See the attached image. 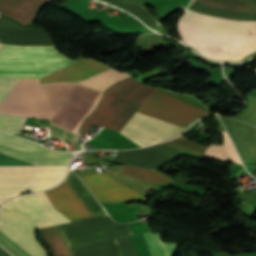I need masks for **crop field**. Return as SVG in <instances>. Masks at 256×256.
Segmentation results:
<instances>
[{
  "instance_id": "1",
  "label": "crop field",
  "mask_w": 256,
  "mask_h": 256,
  "mask_svg": "<svg viewBox=\"0 0 256 256\" xmlns=\"http://www.w3.org/2000/svg\"><path fill=\"white\" fill-rule=\"evenodd\" d=\"M106 66L88 57L40 78L39 83H79ZM112 70L108 66L80 84L87 86ZM128 76L114 70L88 87L104 92L111 84ZM46 85H38V79L0 78V113L24 115ZM98 91L75 83H48L24 116L50 119L51 124L78 135L80 122L99 102L102 93Z\"/></svg>"
},
{
  "instance_id": "2",
  "label": "crop field",
  "mask_w": 256,
  "mask_h": 256,
  "mask_svg": "<svg viewBox=\"0 0 256 256\" xmlns=\"http://www.w3.org/2000/svg\"><path fill=\"white\" fill-rule=\"evenodd\" d=\"M192 11L217 18L256 21L252 0H196ZM189 11L186 20L215 27L253 30L256 22L217 19ZM181 18L177 28L184 42L197 52L222 61H239L256 51V32L215 28Z\"/></svg>"
},
{
  "instance_id": "3",
  "label": "crop field",
  "mask_w": 256,
  "mask_h": 256,
  "mask_svg": "<svg viewBox=\"0 0 256 256\" xmlns=\"http://www.w3.org/2000/svg\"><path fill=\"white\" fill-rule=\"evenodd\" d=\"M62 223L92 217L64 180L57 187L40 192ZM38 193L11 199L0 210V230L33 256H48L38 243L35 230L61 224Z\"/></svg>"
},
{
  "instance_id": "4",
  "label": "crop field",
  "mask_w": 256,
  "mask_h": 256,
  "mask_svg": "<svg viewBox=\"0 0 256 256\" xmlns=\"http://www.w3.org/2000/svg\"><path fill=\"white\" fill-rule=\"evenodd\" d=\"M138 112L185 128L207 112L155 89ZM119 132L139 146H147L171 138L183 128L138 113Z\"/></svg>"
},
{
  "instance_id": "5",
  "label": "crop field",
  "mask_w": 256,
  "mask_h": 256,
  "mask_svg": "<svg viewBox=\"0 0 256 256\" xmlns=\"http://www.w3.org/2000/svg\"><path fill=\"white\" fill-rule=\"evenodd\" d=\"M154 89L130 77L109 87L94 112L80 126V136L92 124L120 131Z\"/></svg>"
},
{
  "instance_id": "6",
  "label": "crop field",
  "mask_w": 256,
  "mask_h": 256,
  "mask_svg": "<svg viewBox=\"0 0 256 256\" xmlns=\"http://www.w3.org/2000/svg\"><path fill=\"white\" fill-rule=\"evenodd\" d=\"M75 62L48 46H0V77L40 78Z\"/></svg>"
},
{
  "instance_id": "7",
  "label": "crop field",
  "mask_w": 256,
  "mask_h": 256,
  "mask_svg": "<svg viewBox=\"0 0 256 256\" xmlns=\"http://www.w3.org/2000/svg\"><path fill=\"white\" fill-rule=\"evenodd\" d=\"M67 165L0 166V203L20 194L56 185L66 174Z\"/></svg>"
},
{
  "instance_id": "8",
  "label": "crop field",
  "mask_w": 256,
  "mask_h": 256,
  "mask_svg": "<svg viewBox=\"0 0 256 256\" xmlns=\"http://www.w3.org/2000/svg\"><path fill=\"white\" fill-rule=\"evenodd\" d=\"M68 247L132 234L127 224L113 222L107 215L57 226Z\"/></svg>"
},
{
  "instance_id": "9",
  "label": "crop field",
  "mask_w": 256,
  "mask_h": 256,
  "mask_svg": "<svg viewBox=\"0 0 256 256\" xmlns=\"http://www.w3.org/2000/svg\"><path fill=\"white\" fill-rule=\"evenodd\" d=\"M0 155L28 165L67 164L73 156V154L49 150L2 132H0Z\"/></svg>"
},
{
  "instance_id": "10",
  "label": "crop field",
  "mask_w": 256,
  "mask_h": 256,
  "mask_svg": "<svg viewBox=\"0 0 256 256\" xmlns=\"http://www.w3.org/2000/svg\"><path fill=\"white\" fill-rule=\"evenodd\" d=\"M80 178L99 202L146 201L141 193L125 186L104 172L81 176Z\"/></svg>"
},
{
  "instance_id": "11",
  "label": "crop field",
  "mask_w": 256,
  "mask_h": 256,
  "mask_svg": "<svg viewBox=\"0 0 256 256\" xmlns=\"http://www.w3.org/2000/svg\"><path fill=\"white\" fill-rule=\"evenodd\" d=\"M0 43L10 45H53L42 27L22 25L0 14Z\"/></svg>"
},
{
  "instance_id": "12",
  "label": "crop field",
  "mask_w": 256,
  "mask_h": 256,
  "mask_svg": "<svg viewBox=\"0 0 256 256\" xmlns=\"http://www.w3.org/2000/svg\"><path fill=\"white\" fill-rule=\"evenodd\" d=\"M182 150L161 144L147 149L123 151L114 160L117 163L151 168L167 162Z\"/></svg>"
},
{
  "instance_id": "13",
  "label": "crop field",
  "mask_w": 256,
  "mask_h": 256,
  "mask_svg": "<svg viewBox=\"0 0 256 256\" xmlns=\"http://www.w3.org/2000/svg\"><path fill=\"white\" fill-rule=\"evenodd\" d=\"M243 163L256 160V129L255 127L219 116Z\"/></svg>"
},
{
  "instance_id": "14",
  "label": "crop field",
  "mask_w": 256,
  "mask_h": 256,
  "mask_svg": "<svg viewBox=\"0 0 256 256\" xmlns=\"http://www.w3.org/2000/svg\"><path fill=\"white\" fill-rule=\"evenodd\" d=\"M50 0H0V13L27 24Z\"/></svg>"
},
{
  "instance_id": "15",
  "label": "crop field",
  "mask_w": 256,
  "mask_h": 256,
  "mask_svg": "<svg viewBox=\"0 0 256 256\" xmlns=\"http://www.w3.org/2000/svg\"><path fill=\"white\" fill-rule=\"evenodd\" d=\"M71 188L76 192L84 204L89 208L94 216L106 213L90 192L85 188L74 172H70L65 179Z\"/></svg>"
},
{
  "instance_id": "16",
  "label": "crop field",
  "mask_w": 256,
  "mask_h": 256,
  "mask_svg": "<svg viewBox=\"0 0 256 256\" xmlns=\"http://www.w3.org/2000/svg\"><path fill=\"white\" fill-rule=\"evenodd\" d=\"M113 3L139 17L147 26L155 29L160 27L158 20L151 16L143 7L141 0H105Z\"/></svg>"
},
{
  "instance_id": "17",
  "label": "crop field",
  "mask_w": 256,
  "mask_h": 256,
  "mask_svg": "<svg viewBox=\"0 0 256 256\" xmlns=\"http://www.w3.org/2000/svg\"><path fill=\"white\" fill-rule=\"evenodd\" d=\"M53 256H71L56 226L38 230Z\"/></svg>"
},
{
  "instance_id": "18",
  "label": "crop field",
  "mask_w": 256,
  "mask_h": 256,
  "mask_svg": "<svg viewBox=\"0 0 256 256\" xmlns=\"http://www.w3.org/2000/svg\"><path fill=\"white\" fill-rule=\"evenodd\" d=\"M224 138V143L223 145H211L208 146L206 151L204 152L203 156H209V157H214L218 158L221 160H226L230 159L233 160L239 164H241L236 151L234 149V146L229 139L226 131L221 132Z\"/></svg>"
},
{
  "instance_id": "19",
  "label": "crop field",
  "mask_w": 256,
  "mask_h": 256,
  "mask_svg": "<svg viewBox=\"0 0 256 256\" xmlns=\"http://www.w3.org/2000/svg\"><path fill=\"white\" fill-rule=\"evenodd\" d=\"M121 173L155 183L170 184L174 182L170 180L167 176L151 170L124 166V168L121 170Z\"/></svg>"
},
{
  "instance_id": "20",
  "label": "crop field",
  "mask_w": 256,
  "mask_h": 256,
  "mask_svg": "<svg viewBox=\"0 0 256 256\" xmlns=\"http://www.w3.org/2000/svg\"><path fill=\"white\" fill-rule=\"evenodd\" d=\"M26 117L0 114V130L19 134Z\"/></svg>"
},
{
  "instance_id": "21",
  "label": "crop field",
  "mask_w": 256,
  "mask_h": 256,
  "mask_svg": "<svg viewBox=\"0 0 256 256\" xmlns=\"http://www.w3.org/2000/svg\"><path fill=\"white\" fill-rule=\"evenodd\" d=\"M164 144L171 145V146H174L177 148H181L185 151H188V152L200 155V156H202L203 152L206 149V146L197 144L183 136L174 139V141H168Z\"/></svg>"
},
{
  "instance_id": "22",
  "label": "crop field",
  "mask_w": 256,
  "mask_h": 256,
  "mask_svg": "<svg viewBox=\"0 0 256 256\" xmlns=\"http://www.w3.org/2000/svg\"><path fill=\"white\" fill-rule=\"evenodd\" d=\"M143 234L152 256H167L158 233L151 234V232L148 231Z\"/></svg>"
},
{
  "instance_id": "23",
  "label": "crop field",
  "mask_w": 256,
  "mask_h": 256,
  "mask_svg": "<svg viewBox=\"0 0 256 256\" xmlns=\"http://www.w3.org/2000/svg\"><path fill=\"white\" fill-rule=\"evenodd\" d=\"M0 244L14 256H31L9 237L0 231Z\"/></svg>"
},
{
  "instance_id": "24",
  "label": "crop field",
  "mask_w": 256,
  "mask_h": 256,
  "mask_svg": "<svg viewBox=\"0 0 256 256\" xmlns=\"http://www.w3.org/2000/svg\"><path fill=\"white\" fill-rule=\"evenodd\" d=\"M0 256H10V255L0 247Z\"/></svg>"
}]
</instances>
